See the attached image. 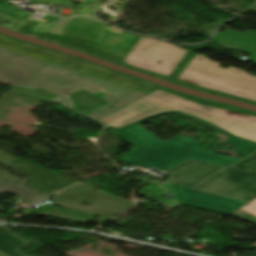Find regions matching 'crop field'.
<instances>
[{"label": "crop field", "mask_w": 256, "mask_h": 256, "mask_svg": "<svg viewBox=\"0 0 256 256\" xmlns=\"http://www.w3.org/2000/svg\"><path fill=\"white\" fill-rule=\"evenodd\" d=\"M167 113L198 120L231 137L225 143L237 148L235 152L243 157L235 159L207 153L199 147L201 142L186 136H179L173 142H166L154 137L153 133L143 129L140 125V122L146 119ZM99 121L116 129L120 137L135 146L134 150L126 155L129 157L127 161L138 166L155 167L163 171L188 158L229 166L224 163L228 160L235 163L256 150V117L200 105L161 90ZM231 169L256 174V153Z\"/></svg>", "instance_id": "8a807250"}, {"label": "crop field", "mask_w": 256, "mask_h": 256, "mask_svg": "<svg viewBox=\"0 0 256 256\" xmlns=\"http://www.w3.org/2000/svg\"><path fill=\"white\" fill-rule=\"evenodd\" d=\"M52 51L0 35V80L48 90L59 96L53 101L68 108L72 104L63 95L78 88L108 94L103 98L109 103L86 116L95 121L161 88Z\"/></svg>", "instance_id": "ac0d7876"}, {"label": "crop field", "mask_w": 256, "mask_h": 256, "mask_svg": "<svg viewBox=\"0 0 256 256\" xmlns=\"http://www.w3.org/2000/svg\"><path fill=\"white\" fill-rule=\"evenodd\" d=\"M175 196L163 202L229 214L256 198V175L188 161L166 173Z\"/></svg>", "instance_id": "34b2d1b8"}, {"label": "crop field", "mask_w": 256, "mask_h": 256, "mask_svg": "<svg viewBox=\"0 0 256 256\" xmlns=\"http://www.w3.org/2000/svg\"><path fill=\"white\" fill-rule=\"evenodd\" d=\"M219 65L191 52L173 78L256 101L255 76L232 66L224 69Z\"/></svg>", "instance_id": "412701ff"}, {"label": "crop field", "mask_w": 256, "mask_h": 256, "mask_svg": "<svg viewBox=\"0 0 256 256\" xmlns=\"http://www.w3.org/2000/svg\"><path fill=\"white\" fill-rule=\"evenodd\" d=\"M188 52L169 43L142 37L124 63L170 77Z\"/></svg>", "instance_id": "f4fd0767"}, {"label": "crop field", "mask_w": 256, "mask_h": 256, "mask_svg": "<svg viewBox=\"0 0 256 256\" xmlns=\"http://www.w3.org/2000/svg\"><path fill=\"white\" fill-rule=\"evenodd\" d=\"M140 38L110 27L89 54L117 64L128 56Z\"/></svg>", "instance_id": "dd49c442"}, {"label": "crop field", "mask_w": 256, "mask_h": 256, "mask_svg": "<svg viewBox=\"0 0 256 256\" xmlns=\"http://www.w3.org/2000/svg\"><path fill=\"white\" fill-rule=\"evenodd\" d=\"M211 40L219 43L220 46L235 48L252 55L247 60L256 63V31L250 30L246 33L227 31L218 32Z\"/></svg>", "instance_id": "e52e79f7"}, {"label": "crop field", "mask_w": 256, "mask_h": 256, "mask_svg": "<svg viewBox=\"0 0 256 256\" xmlns=\"http://www.w3.org/2000/svg\"><path fill=\"white\" fill-rule=\"evenodd\" d=\"M32 213L42 214L46 216L66 219L80 223H88L96 217L95 215L66 210L52 206L39 207L36 210L32 211Z\"/></svg>", "instance_id": "d8731c3e"}, {"label": "crop field", "mask_w": 256, "mask_h": 256, "mask_svg": "<svg viewBox=\"0 0 256 256\" xmlns=\"http://www.w3.org/2000/svg\"><path fill=\"white\" fill-rule=\"evenodd\" d=\"M28 245L23 239L8 230L5 226H0V252L8 256H24L18 249Z\"/></svg>", "instance_id": "5a996713"}, {"label": "crop field", "mask_w": 256, "mask_h": 256, "mask_svg": "<svg viewBox=\"0 0 256 256\" xmlns=\"http://www.w3.org/2000/svg\"><path fill=\"white\" fill-rule=\"evenodd\" d=\"M27 187L16 183L0 181V195L11 191L12 193L22 197L32 204H35L46 198Z\"/></svg>", "instance_id": "3316defc"}, {"label": "crop field", "mask_w": 256, "mask_h": 256, "mask_svg": "<svg viewBox=\"0 0 256 256\" xmlns=\"http://www.w3.org/2000/svg\"><path fill=\"white\" fill-rule=\"evenodd\" d=\"M162 90L167 91V92L172 93V94H175L177 96L186 98V99L191 100L193 102H198L200 104L214 106V107L225 109V110H232V111H235V112H241V113H246V114H249V115L256 116V114L253 113V112H250V111H247V110H243V109H239V108H235V107H231V106L226 105V104H222V103H218V102H213V101H208V100H204V99L193 97V96H188V95L182 94L180 92L168 90V89H166L164 87L162 88Z\"/></svg>", "instance_id": "28ad6ade"}, {"label": "crop field", "mask_w": 256, "mask_h": 256, "mask_svg": "<svg viewBox=\"0 0 256 256\" xmlns=\"http://www.w3.org/2000/svg\"><path fill=\"white\" fill-rule=\"evenodd\" d=\"M230 215L256 224V199L234 211Z\"/></svg>", "instance_id": "d1516ede"}, {"label": "crop field", "mask_w": 256, "mask_h": 256, "mask_svg": "<svg viewBox=\"0 0 256 256\" xmlns=\"http://www.w3.org/2000/svg\"><path fill=\"white\" fill-rule=\"evenodd\" d=\"M170 82L177 83V84H180V85H183V86H187V87H190V88H193V89H196V90H200V91H203V92H207V93H211V94H215V95H219V96H223V97H227V98L237 99V100H241V101L256 105V102L241 99V98L231 96V95H228V94H224V93H221V92H218V91H214V90L194 86V85H191V84H188V83H185V82L173 79V78L170 79Z\"/></svg>", "instance_id": "22f410ed"}, {"label": "crop field", "mask_w": 256, "mask_h": 256, "mask_svg": "<svg viewBox=\"0 0 256 256\" xmlns=\"http://www.w3.org/2000/svg\"><path fill=\"white\" fill-rule=\"evenodd\" d=\"M121 65H122V66H125V67H128V68H131V69H134V70H138V71H141V72H145V73H148V74H154V75H156L157 77L162 78V79H164V80H166V81H168V79H169L168 77H165V76H162V75H159V74H155V73H152V72H149V71H146V70L137 68V67H133V66H130V65H127V64H124V63H122Z\"/></svg>", "instance_id": "cbeb9de0"}, {"label": "crop field", "mask_w": 256, "mask_h": 256, "mask_svg": "<svg viewBox=\"0 0 256 256\" xmlns=\"http://www.w3.org/2000/svg\"><path fill=\"white\" fill-rule=\"evenodd\" d=\"M0 256H5V255H3L2 253H0Z\"/></svg>", "instance_id": "5142ce71"}]
</instances>
